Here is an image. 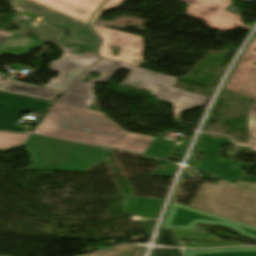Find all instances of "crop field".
<instances>
[{"label":"crop field","instance_id":"5142ce71","mask_svg":"<svg viewBox=\"0 0 256 256\" xmlns=\"http://www.w3.org/2000/svg\"><path fill=\"white\" fill-rule=\"evenodd\" d=\"M44 42L38 41L26 36L14 34L0 44V56L7 54L14 57H19L28 53L30 49L39 47Z\"/></svg>","mask_w":256,"mask_h":256},{"label":"crop field","instance_id":"f4fd0767","mask_svg":"<svg viewBox=\"0 0 256 256\" xmlns=\"http://www.w3.org/2000/svg\"><path fill=\"white\" fill-rule=\"evenodd\" d=\"M13 3L15 7L50 19L44 23L48 26L59 31L69 30L72 38L62 36L57 45L72 49H75L73 47L76 46L75 50L96 54L100 38L87 25L79 21L74 24V19L26 0H14ZM45 11H49L51 14L48 15Z\"/></svg>","mask_w":256,"mask_h":256},{"label":"crop field","instance_id":"ae1a2a85","mask_svg":"<svg viewBox=\"0 0 256 256\" xmlns=\"http://www.w3.org/2000/svg\"><path fill=\"white\" fill-rule=\"evenodd\" d=\"M236 186L256 195V183L237 182Z\"/></svg>","mask_w":256,"mask_h":256},{"label":"crop field","instance_id":"bd1437ed","mask_svg":"<svg viewBox=\"0 0 256 256\" xmlns=\"http://www.w3.org/2000/svg\"><path fill=\"white\" fill-rule=\"evenodd\" d=\"M13 33L10 32H0V43L11 36Z\"/></svg>","mask_w":256,"mask_h":256},{"label":"crop field","instance_id":"8a807250","mask_svg":"<svg viewBox=\"0 0 256 256\" xmlns=\"http://www.w3.org/2000/svg\"><path fill=\"white\" fill-rule=\"evenodd\" d=\"M93 116L97 117L93 119ZM33 133L166 159L176 142L124 132L104 114L54 103Z\"/></svg>","mask_w":256,"mask_h":256},{"label":"crop field","instance_id":"730fd06b","mask_svg":"<svg viewBox=\"0 0 256 256\" xmlns=\"http://www.w3.org/2000/svg\"><path fill=\"white\" fill-rule=\"evenodd\" d=\"M142 159H147V160H152L154 162H156L157 164H159L158 168L151 174V176H157V177H172L173 176V172L176 169V166L173 165L172 163L170 164V166L167 168L166 171L159 169V167L161 166L162 163H160L158 159H154V158H147V157H141Z\"/></svg>","mask_w":256,"mask_h":256},{"label":"crop field","instance_id":"28ad6ade","mask_svg":"<svg viewBox=\"0 0 256 256\" xmlns=\"http://www.w3.org/2000/svg\"><path fill=\"white\" fill-rule=\"evenodd\" d=\"M256 56L245 52L225 89L256 101Z\"/></svg>","mask_w":256,"mask_h":256},{"label":"crop field","instance_id":"733c2abd","mask_svg":"<svg viewBox=\"0 0 256 256\" xmlns=\"http://www.w3.org/2000/svg\"><path fill=\"white\" fill-rule=\"evenodd\" d=\"M164 200L126 197V208L124 211L136 215L156 218Z\"/></svg>","mask_w":256,"mask_h":256},{"label":"crop field","instance_id":"d8731c3e","mask_svg":"<svg viewBox=\"0 0 256 256\" xmlns=\"http://www.w3.org/2000/svg\"><path fill=\"white\" fill-rule=\"evenodd\" d=\"M188 5L186 15L206 22L207 27L225 32L243 26L240 16L224 11L232 4L231 0H177Z\"/></svg>","mask_w":256,"mask_h":256},{"label":"crop field","instance_id":"34b2d1b8","mask_svg":"<svg viewBox=\"0 0 256 256\" xmlns=\"http://www.w3.org/2000/svg\"><path fill=\"white\" fill-rule=\"evenodd\" d=\"M32 165L27 169L87 172L110 160L113 150L31 135L25 143Z\"/></svg>","mask_w":256,"mask_h":256},{"label":"crop field","instance_id":"214f88e0","mask_svg":"<svg viewBox=\"0 0 256 256\" xmlns=\"http://www.w3.org/2000/svg\"><path fill=\"white\" fill-rule=\"evenodd\" d=\"M12 23L18 24L21 28V30L18 32V34H26V33H33L35 34L40 40L43 41H48V42H52L54 43L55 40L58 38V36L60 35L59 32L54 31L52 29H49L47 27H44L42 25L38 26V27H32L27 23L26 20H23L21 18L16 17Z\"/></svg>","mask_w":256,"mask_h":256},{"label":"crop field","instance_id":"d9b57169","mask_svg":"<svg viewBox=\"0 0 256 256\" xmlns=\"http://www.w3.org/2000/svg\"><path fill=\"white\" fill-rule=\"evenodd\" d=\"M177 237L178 243L179 239H196L197 244L183 243L185 247H215V246H228V245H246L241 243L229 242L220 240L209 233H204L197 230H174ZM181 246V244L179 243ZM182 247V246H181Z\"/></svg>","mask_w":256,"mask_h":256},{"label":"crop field","instance_id":"00972430","mask_svg":"<svg viewBox=\"0 0 256 256\" xmlns=\"http://www.w3.org/2000/svg\"><path fill=\"white\" fill-rule=\"evenodd\" d=\"M248 130L251 134L248 144H237V146L250 147L256 151V102L251 103V108L248 114Z\"/></svg>","mask_w":256,"mask_h":256},{"label":"crop field","instance_id":"750c4746","mask_svg":"<svg viewBox=\"0 0 256 256\" xmlns=\"http://www.w3.org/2000/svg\"><path fill=\"white\" fill-rule=\"evenodd\" d=\"M246 51L256 55V36L252 40Z\"/></svg>","mask_w":256,"mask_h":256},{"label":"crop field","instance_id":"bc2a9ffb","mask_svg":"<svg viewBox=\"0 0 256 256\" xmlns=\"http://www.w3.org/2000/svg\"><path fill=\"white\" fill-rule=\"evenodd\" d=\"M184 256H256V247L183 250Z\"/></svg>","mask_w":256,"mask_h":256},{"label":"crop field","instance_id":"ac0d7876","mask_svg":"<svg viewBox=\"0 0 256 256\" xmlns=\"http://www.w3.org/2000/svg\"><path fill=\"white\" fill-rule=\"evenodd\" d=\"M121 67L131 70L121 86L126 84L152 91L151 95L158 96L157 100H164L173 104L175 118L180 119L181 112L183 111L197 106H204L208 100V97L205 96L173 89L177 81L174 77L164 76L150 70L101 57L95 65L73 83L68 92L95 99L92 93L94 82L108 81ZM93 71L100 73L101 77L92 79L90 81L91 84L80 82V79L85 78Z\"/></svg>","mask_w":256,"mask_h":256},{"label":"crop field","instance_id":"e52e79f7","mask_svg":"<svg viewBox=\"0 0 256 256\" xmlns=\"http://www.w3.org/2000/svg\"><path fill=\"white\" fill-rule=\"evenodd\" d=\"M196 222L226 226L243 237L256 239L255 227L173 202L170 205L161 229H193Z\"/></svg>","mask_w":256,"mask_h":256},{"label":"crop field","instance_id":"dd49c442","mask_svg":"<svg viewBox=\"0 0 256 256\" xmlns=\"http://www.w3.org/2000/svg\"><path fill=\"white\" fill-rule=\"evenodd\" d=\"M124 0H106L91 19V28L102 37L99 56L138 66L143 62V40L140 36L94 25L102 11L120 5ZM120 47L119 55L113 56L111 47ZM140 66V65H139Z\"/></svg>","mask_w":256,"mask_h":256},{"label":"crop field","instance_id":"412701ff","mask_svg":"<svg viewBox=\"0 0 256 256\" xmlns=\"http://www.w3.org/2000/svg\"><path fill=\"white\" fill-rule=\"evenodd\" d=\"M190 206L256 227V197L223 181L202 184Z\"/></svg>","mask_w":256,"mask_h":256},{"label":"crop field","instance_id":"d1516ede","mask_svg":"<svg viewBox=\"0 0 256 256\" xmlns=\"http://www.w3.org/2000/svg\"><path fill=\"white\" fill-rule=\"evenodd\" d=\"M86 24L104 0H31Z\"/></svg>","mask_w":256,"mask_h":256},{"label":"crop field","instance_id":"4a817a6b","mask_svg":"<svg viewBox=\"0 0 256 256\" xmlns=\"http://www.w3.org/2000/svg\"><path fill=\"white\" fill-rule=\"evenodd\" d=\"M246 164L207 161L199 169L220 177L224 180L235 181L245 171L240 170ZM221 169L225 171H221Z\"/></svg>","mask_w":256,"mask_h":256},{"label":"crop field","instance_id":"dafd665d","mask_svg":"<svg viewBox=\"0 0 256 256\" xmlns=\"http://www.w3.org/2000/svg\"><path fill=\"white\" fill-rule=\"evenodd\" d=\"M144 249V247L140 246L127 245L88 256H142Z\"/></svg>","mask_w":256,"mask_h":256},{"label":"crop field","instance_id":"4177f3b9","mask_svg":"<svg viewBox=\"0 0 256 256\" xmlns=\"http://www.w3.org/2000/svg\"><path fill=\"white\" fill-rule=\"evenodd\" d=\"M156 243L169 246H178L173 230L168 229H163L160 231V235Z\"/></svg>","mask_w":256,"mask_h":256},{"label":"crop field","instance_id":"5a996713","mask_svg":"<svg viewBox=\"0 0 256 256\" xmlns=\"http://www.w3.org/2000/svg\"><path fill=\"white\" fill-rule=\"evenodd\" d=\"M57 47L63 51V55L58 61L51 62L49 67L51 71L59 72V76L57 79L52 78L45 87L66 92L72 80L94 63L98 57L88 53L76 56L70 53L69 48Z\"/></svg>","mask_w":256,"mask_h":256},{"label":"crop field","instance_id":"d3111659","mask_svg":"<svg viewBox=\"0 0 256 256\" xmlns=\"http://www.w3.org/2000/svg\"><path fill=\"white\" fill-rule=\"evenodd\" d=\"M188 141H180L177 142L173 152L171 153L170 157L173 156V154L176 152L177 149L184 150L185 146L187 145Z\"/></svg>","mask_w":256,"mask_h":256},{"label":"crop field","instance_id":"eef30255","mask_svg":"<svg viewBox=\"0 0 256 256\" xmlns=\"http://www.w3.org/2000/svg\"><path fill=\"white\" fill-rule=\"evenodd\" d=\"M152 256H181L180 249L158 248L155 249Z\"/></svg>","mask_w":256,"mask_h":256},{"label":"crop field","instance_id":"92a150f3","mask_svg":"<svg viewBox=\"0 0 256 256\" xmlns=\"http://www.w3.org/2000/svg\"><path fill=\"white\" fill-rule=\"evenodd\" d=\"M30 135L0 132V152H9L26 142Z\"/></svg>","mask_w":256,"mask_h":256},{"label":"crop field","instance_id":"22f410ed","mask_svg":"<svg viewBox=\"0 0 256 256\" xmlns=\"http://www.w3.org/2000/svg\"><path fill=\"white\" fill-rule=\"evenodd\" d=\"M223 145L234 146L226 137L214 139L208 135L202 134L195 149L204 154V156L200 160H191V165L198 168L207 160L226 161L219 155Z\"/></svg>","mask_w":256,"mask_h":256},{"label":"crop field","instance_id":"cbeb9de0","mask_svg":"<svg viewBox=\"0 0 256 256\" xmlns=\"http://www.w3.org/2000/svg\"><path fill=\"white\" fill-rule=\"evenodd\" d=\"M0 78H7L0 74ZM0 91L53 101L60 93L40 87L15 82L9 78L0 80Z\"/></svg>","mask_w":256,"mask_h":256},{"label":"crop field","instance_id":"3316defc","mask_svg":"<svg viewBox=\"0 0 256 256\" xmlns=\"http://www.w3.org/2000/svg\"><path fill=\"white\" fill-rule=\"evenodd\" d=\"M49 102L0 92V130L27 132V128L13 126L22 111L43 113Z\"/></svg>","mask_w":256,"mask_h":256},{"label":"crop field","instance_id":"a9b5d70f","mask_svg":"<svg viewBox=\"0 0 256 256\" xmlns=\"http://www.w3.org/2000/svg\"><path fill=\"white\" fill-rule=\"evenodd\" d=\"M57 102L58 103H64V104H69V105H75V106L89 108L90 105L93 103V100L88 99V98H84V97H79V96L65 94Z\"/></svg>","mask_w":256,"mask_h":256},{"label":"crop field","instance_id":"1d83c4d3","mask_svg":"<svg viewBox=\"0 0 256 256\" xmlns=\"http://www.w3.org/2000/svg\"><path fill=\"white\" fill-rule=\"evenodd\" d=\"M238 181H248V182H256V177L243 176Z\"/></svg>","mask_w":256,"mask_h":256}]
</instances>
